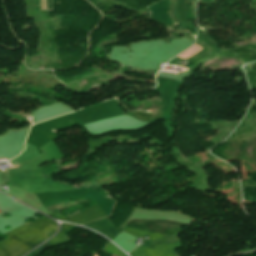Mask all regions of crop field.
Returning a JSON list of instances; mask_svg holds the SVG:
<instances>
[{
  "instance_id": "crop-field-1",
  "label": "crop field",
  "mask_w": 256,
  "mask_h": 256,
  "mask_svg": "<svg viewBox=\"0 0 256 256\" xmlns=\"http://www.w3.org/2000/svg\"><path fill=\"white\" fill-rule=\"evenodd\" d=\"M198 44L196 43L193 47L189 48L188 50H186L185 52H183L182 54H180L177 57H182L184 54H186L187 52H189L190 50H192L194 47H196ZM206 51L204 48H202L200 45L197 46L195 49H193L192 51H190L189 53H187L185 56H183L181 59L186 60L187 58H190L192 56H195L201 52Z\"/></svg>"
}]
</instances>
